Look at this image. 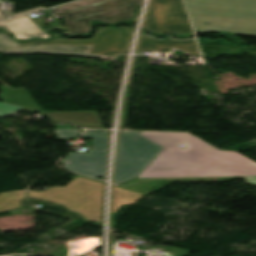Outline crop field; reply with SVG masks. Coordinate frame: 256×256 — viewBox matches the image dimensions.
<instances>
[{"label":"crop field","mask_w":256,"mask_h":256,"mask_svg":"<svg viewBox=\"0 0 256 256\" xmlns=\"http://www.w3.org/2000/svg\"><path fill=\"white\" fill-rule=\"evenodd\" d=\"M139 133L165 147L158 158L209 166L246 168L248 171L155 159L137 178L256 175V162L237 152L219 151L190 133ZM179 144L186 148H179Z\"/></svg>","instance_id":"8a807250"},{"label":"crop field","mask_w":256,"mask_h":256,"mask_svg":"<svg viewBox=\"0 0 256 256\" xmlns=\"http://www.w3.org/2000/svg\"><path fill=\"white\" fill-rule=\"evenodd\" d=\"M57 128H70V129H81V128H73L72 125H55Z\"/></svg>","instance_id":"4a817a6b"},{"label":"crop field","mask_w":256,"mask_h":256,"mask_svg":"<svg viewBox=\"0 0 256 256\" xmlns=\"http://www.w3.org/2000/svg\"><path fill=\"white\" fill-rule=\"evenodd\" d=\"M1 27L7 28L17 39L27 40L31 38H51L26 16L0 22Z\"/></svg>","instance_id":"d1516ede"},{"label":"crop field","mask_w":256,"mask_h":256,"mask_svg":"<svg viewBox=\"0 0 256 256\" xmlns=\"http://www.w3.org/2000/svg\"><path fill=\"white\" fill-rule=\"evenodd\" d=\"M5 15L0 12V19H5Z\"/></svg>","instance_id":"214f88e0"},{"label":"crop field","mask_w":256,"mask_h":256,"mask_svg":"<svg viewBox=\"0 0 256 256\" xmlns=\"http://www.w3.org/2000/svg\"><path fill=\"white\" fill-rule=\"evenodd\" d=\"M0 88L3 91V94L0 95L3 102L40 110L24 88L15 90H11L8 86Z\"/></svg>","instance_id":"22f410ed"},{"label":"crop field","mask_w":256,"mask_h":256,"mask_svg":"<svg viewBox=\"0 0 256 256\" xmlns=\"http://www.w3.org/2000/svg\"><path fill=\"white\" fill-rule=\"evenodd\" d=\"M108 132L85 130L81 137H94V149L88 154L70 153L63 161L66 170L99 177L105 175L108 149Z\"/></svg>","instance_id":"d8731c3e"},{"label":"crop field","mask_w":256,"mask_h":256,"mask_svg":"<svg viewBox=\"0 0 256 256\" xmlns=\"http://www.w3.org/2000/svg\"><path fill=\"white\" fill-rule=\"evenodd\" d=\"M131 34V28H100L90 40L57 39L15 43L0 31V53L39 52L106 57L126 52Z\"/></svg>","instance_id":"ac0d7876"},{"label":"crop field","mask_w":256,"mask_h":256,"mask_svg":"<svg viewBox=\"0 0 256 256\" xmlns=\"http://www.w3.org/2000/svg\"><path fill=\"white\" fill-rule=\"evenodd\" d=\"M103 184L83 178H75L65 187L44 190V192L28 191V197L65 206L75 211L84 219L101 223Z\"/></svg>","instance_id":"f4fd0767"},{"label":"crop field","mask_w":256,"mask_h":256,"mask_svg":"<svg viewBox=\"0 0 256 256\" xmlns=\"http://www.w3.org/2000/svg\"><path fill=\"white\" fill-rule=\"evenodd\" d=\"M80 130L56 129V135L61 139H68L72 136H78Z\"/></svg>","instance_id":"d9b57169"},{"label":"crop field","mask_w":256,"mask_h":256,"mask_svg":"<svg viewBox=\"0 0 256 256\" xmlns=\"http://www.w3.org/2000/svg\"><path fill=\"white\" fill-rule=\"evenodd\" d=\"M143 194L114 186V198L112 213H115L122 204H135ZM121 204H117L118 202Z\"/></svg>","instance_id":"cbeb9de0"},{"label":"crop field","mask_w":256,"mask_h":256,"mask_svg":"<svg viewBox=\"0 0 256 256\" xmlns=\"http://www.w3.org/2000/svg\"><path fill=\"white\" fill-rule=\"evenodd\" d=\"M20 110H26L31 112L35 111L0 102V116H6L10 113ZM43 114L48 116L52 120V122L73 123L85 128H104L96 111L53 112Z\"/></svg>","instance_id":"5a996713"},{"label":"crop field","mask_w":256,"mask_h":256,"mask_svg":"<svg viewBox=\"0 0 256 256\" xmlns=\"http://www.w3.org/2000/svg\"><path fill=\"white\" fill-rule=\"evenodd\" d=\"M172 48L180 49L194 56H200L194 39L190 41L161 40L148 35H142L139 40L138 52H152Z\"/></svg>","instance_id":"28ad6ade"},{"label":"crop field","mask_w":256,"mask_h":256,"mask_svg":"<svg viewBox=\"0 0 256 256\" xmlns=\"http://www.w3.org/2000/svg\"><path fill=\"white\" fill-rule=\"evenodd\" d=\"M195 31L256 36V0H185Z\"/></svg>","instance_id":"34b2d1b8"},{"label":"crop field","mask_w":256,"mask_h":256,"mask_svg":"<svg viewBox=\"0 0 256 256\" xmlns=\"http://www.w3.org/2000/svg\"><path fill=\"white\" fill-rule=\"evenodd\" d=\"M26 190L0 194V212L21 208V202Z\"/></svg>","instance_id":"5142ce71"},{"label":"crop field","mask_w":256,"mask_h":256,"mask_svg":"<svg viewBox=\"0 0 256 256\" xmlns=\"http://www.w3.org/2000/svg\"><path fill=\"white\" fill-rule=\"evenodd\" d=\"M230 169V168H229ZM243 170H245V169H243Z\"/></svg>","instance_id":"92a150f3"},{"label":"crop field","mask_w":256,"mask_h":256,"mask_svg":"<svg viewBox=\"0 0 256 256\" xmlns=\"http://www.w3.org/2000/svg\"><path fill=\"white\" fill-rule=\"evenodd\" d=\"M144 28L156 34L190 36L193 34L182 0H151Z\"/></svg>","instance_id":"e52e79f7"},{"label":"crop field","mask_w":256,"mask_h":256,"mask_svg":"<svg viewBox=\"0 0 256 256\" xmlns=\"http://www.w3.org/2000/svg\"><path fill=\"white\" fill-rule=\"evenodd\" d=\"M73 175H76V174H73ZM76 176H79V177H83V178H87V177H84V176H80V175H76ZM87 179H91V178H87ZM91 180H94V181H98V182H102V181H99V180H95V179H91ZM104 183V182H102Z\"/></svg>","instance_id":"bc2a9ffb"},{"label":"crop field","mask_w":256,"mask_h":256,"mask_svg":"<svg viewBox=\"0 0 256 256\" xmlns=\"http://www.w3.org/2000/svg\"><path fill=\"white\" fill-rule=\"evenodd\" d=\"M164 147L147 139L136 131H124L120 135L114 182L133 179Z\"/></svg>","instance_id":"dd49c442"},{"label":"crop field","mask_w":256,"mask_h":256,"mask_svg":"<svg viewBox=\"0 0 256 256\" xmlns=\"http://www.w3.org/2000/svg\"><path fill=\"white\" fill-rule=\"evenodd\" d=\"M245 177L247 182L256 185V176H232V177H194V178H153V179H134L129 182L116 185L137 192H145L146 190L166 182H182V181H210V180H234L235 178Z\"/></svg>","instance_id":"3316defc"},{"label":"crop field","mask_w":256,"mask_h":256,"mask_svg":"<svg viewBox=\"0 0 256 256\" xmlns=\"http://www.w3.org/2000/svg\"><path fill=\"white\" fill-rule=\"evenodd\" d=\"M141 0H80L54 8V15L63 14L69 36L89 34L93 19L112 25L131 21L135 5Z\"/></svg>","instance_id":"412701ff"},{"label":"crop field","mask_w":256,"mask_h":256,"mask_svg":"<svg viewBox=\"0 0 256 256\" xmlns=\"http://www.w3.org/2000/svg\"><path fill=\"white\" fill-rule=\"evenodd\" d=\"M44 7H39V8H35V9H31V10H27V11H24L22 13H19V14H14L13 12H11L10 10H6L5 13L7 15H9L10 17H14V16H18V15H22V14H26V13H30V12H33V11H36V10H39V9H42Z\"/></svg>","instance_id":"733c2abd"}]
</instances>
